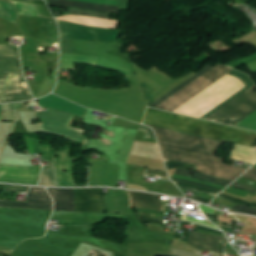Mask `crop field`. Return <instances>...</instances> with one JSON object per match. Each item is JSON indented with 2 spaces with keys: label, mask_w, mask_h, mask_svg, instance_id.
I'll return each mask as SVG.
<instances>
[{
  "label": "crop field",
  "mask_w": 256,
  "mask_h": 256,
  "mask_svg": "<svg viewBox=\"0 0 256 256\" xmlns=\"http://www.w3.org/2000/svg\"><path fill=\"white\" fill-rule=\"evenodd\" d=\"M186 133L228 141L254 148L256 133L214 123L192 119L147 108L143 121ZM145 125V124H144ZM151 126V125H146ZM151 126L164 158L196 165V171L234 181L247 169L222 164L223 158L213 156L223 142Z\"/></svg>",
  "instance_id": "8a807250"
},
{
  "label": "crop field",
  "mask_w": 256,
  "mask_h": 256,
  "mask_svg": "<svg viewBox=\"0 0 256 256\" xmlns=\"http://www.w3.org/2000/svg\"><path fill=\"white\" fill-rule=\"evenodd\" d=\"M61 52L99 56L98 68L134 75L129 55L120 54L122 44L61 39Z\"/></svg>",
  "instance_id": "ac0d7876"
},
{
  "label": "crop field",
  "mask_w": 256,
  "mask_h": 256,
  "mask_svg": "<svg viewBox=\"0 0 256 256\" xmlns=\"http://www.w3.org/2000/svg\"><path fill=\"white\" fill-rule=\"evenodd\" d=\"M0 81H24V84L23 82H0V102L19 100L22 84L23 89L20 101L31 100L33 98L22 76L20 61L0 60Z\"/></svg>",
  "instance_id": "34b2d1b8"
},
{
  "label": "crop field",
  "mask_w": 256,
  "mask_h": 256,
  "mask_svg": "<svg viewBox=\"0 0 256 256\" xmlns=\"http://www.w3.org/2000/svg\"><path fill=\"white\" fill-rule=\"evenodd\" d=\"M255 85L238 98L218 110L207 120L228 125H236L244 118L256 111V94L253 92Z\"/></svg>",
  "instance_id": "412701ff"
},
{
  "label": "crop field",
  "mask_w": 256,
  "mask_h": 256,
  "mask_svg": "<svg viewBox=\"0 0 256 256\" xmlns=\"http://www.w3.org/2000/svg\"><path fill=\"white\" fill-rule=\"evenodd\" d=\"M232 69L222 65H218L208 71L206 74L198 78L196 81L185 87L183 90L172 96L170 99L162 103L157 109L174 111L179 106L190 100L192 97L203 91L205 88L213 84L215 81L226 75Z\"/></svg>",
  "instance_id": "f4fd0767"
},
{
  "label": "crop field",
  "mask_w": 256,
  "mask_h": 256,
  "mask_svg": "<svg viewBox=\"0 0 256 256\" xmlns=\"http://www.w3.org/2000/svg\"><path fill=\"white\" fill-rule=\"evenodd\" d=\"M58 21V20H57ZM61 38L117 42L118 30L81 26L73 23L58 21Z\"/></svg>",
  "instance_id": "dd49c442"
},
{
  "label": "crop field",
  "mask_w": 256,
  "mask_h": 256,
  "mask_svg": "<svg viewBox=\"0 0 256 256\" xmlns=\"http://www.w3.org/2000/svg\"><path fill=\"white\" fill-rule=\"evenodd\" d=\"M37 117L43 121L44 128L47 132L81 142H84L86 138L82 135L84 132L70 128L73 118L72 115L48 110L47 112L38 113Z\"/></svg>",
  "instance_id": "e52e79f7"
},
{
  "label": "crop field",
  "mask_w": 256,
  "mask_h": 256,
  "mask_svg": "<svg viewBox=\"0 0 256 256\" xmlns=\"http://www.w3.org/2000/svg\"><path fill=\"white\" fill-rule=\"evenodd\" d=\"M75 211L104 213L102 188L75 189Z\"/></svg>",
  "instance_id": "d8731c3e"
},
{
  "label": "crop field",
  "mask_w": 256,
  "mask_h": 256,
  "mask_svg": "<svg viewBox=\"0 0 256 256\" xmlns=\"http://www.w3.org/2000/svg\"><path fill=\"white\" fill-rule=\"evenodd\" d=\"M0 182L24 183L37 185L40 169L28 166L0 164Z\"/></svg>",
  "instance_id": "5a996713"
},
{
  "label": "crop field",
  "mask_w": 256,
  "mask_h": 256,
  "mask_svg": "<svg viewBox=\"0 0 256 256\" xmlns=\"http://www.w3.org/2000/svg\"><path fill=\"white\" fill-rule=\"evenodd\" d=\"M57 165L59 169L60 186H75V179L73 176V162ZM57 165L52 166V168L43 169L39 185L59 186ZM64 169H66V173L62 171Z\"/></svg>",
  "instance_id": "3316defc"
},
{
  "label": "crop field",
  "mask_w": 256,
  "mask_h": 256,
  "mask_svg": "<svg viewBox=\"0 0 256 256\" xmlns=\"http://www.w3.org/2000/svg\"><path fill=\"white\" fill-rule=\"evenodd\" d=\"M27 195V204L0 201V207L52 210V199L45 188L31 187Z\"/></svg>",
  "instance_id": "28ad6ade"
},
{
  "label": "crop field",
  "mask_w": 256,
  "mask_h": 256,
  "mask_svg": "<svg viewBox=\"0 0 256 256\" xmlns=\"http://www.w3.org/2000/svg\"><path fill=\"white\" fill-rule=\"evenodd\" d=\"M38 104L45 108L56 109L59 111H63L69 114L77 115V116H85L86 109L80 107L74 103H71L65 99H62L56 95H49L46 98L39 99Z\"/></svg>",
  "instance_id": "d1516ede"
},
{
  "label": "crop field",
  "mask_w": 256,
  "mask_h": 256,
  "mask_svg": "<svg viewBox=\"0 0 256 256\" xmlns=\"http://www.w3.org/2000/svg\"><path fill=\"white\" fill-rule=\"evenodd\" d=\"M54 199L55 210L74 211V189H48Z\"/></svg>",
  "instance_id": "22f410ed"
},
{
  "label": "crop field",
  "mask_w": 256,
  "mask_h": 256,
  "mask_svg": "<svg viewBox=\"0 0 256 256\" xmlns=\"http://www.w3.org/2000/svg\"><path fill=\"white\" fill-rule=\"evenodd\" d=\"M133 200V207L165 211L161 206L159 195L130 192Z\"/></svg>",
  "instance_id": "cbeb9de0"
},
{
  "label": "crop field",
  "mask_w": 256,
  "mask_h": 256,
  "mask_svg": "<svg viewBox=\"0 0 256 256\" xmlns=\"http://www.w3.org/2000/svg\"><path fill=\"white\" fill-rule=\"evenodd\" d=\"M98 57L61 53L59 69L76 71L74 63L96 66Z\"/></svg>",
  "instance_id": "5142ce71"
},
{
  "label": "crop field",
  "mask_w": 256,
  "mask_h": 256,
  "mask_svg": "<svg viewBox=\"0 0 256 256\" xmlns=\"http://www.w3.org/2000/svg\"><path fill=\"white\" fill-rule=\"evenodd\" d=\"M50 4L71 7V8L89 9V10L105 12V13H118V7L72 1V0H59V1L50 0Z\"/></svg>",
  "instance_id": "d9b57169"
},
{
  "label": "crop field",
  "mask_w": 256,
  "mask_h": 256,
  "mask_svg": "<svg viewBox=\"0 0 256 256\" xmlns=\"http://www.w3.org/2000/svg\"><path fill=\"white\" fill-rule=\"evenodd\" d=\"M187 238L221 249V243L216 242V241L211 240V239L200 238V237H195V236H190V235H188ZM188 239L186 240V242L190 243L191 245H193L198 250L203 251L204 249H207V250H211V251H214L216 253H220L221 254V250L220 249H217V248H214V247H210V246H207V245H204V244H201V243H198V242H194V241H191V240H188Z\"/></svg>",
  "instance_id": "733c2abd"
},
{
  "label": "crop field",
  "mask_w": 256,
  "mask_h": 256,
  "mask_svg": "<svg viewBox=\"0 0 256 256\" xmlns=\"http://www.w3.org/2000/svg\"><path fill=\"white\" fill-rule=\"evenodd\" d=\"M212 67L206 65L203 69H201L197 74H195L194 76H192L190 79H188L186 82H184L183 84L175 87L173 90H171L168 94H166L164 97L160 98L159 100L155 101L154 103H152L149 107H157L158 105H160L162 102H164L165 100H167L168 98H170L172 95H174L175 93H177L178 91H180L181 89H183L185 86H187L188 84H190L191 82H193L194 80H196L198 77H200L201 75H203L204 73H206L208 70H210Z\"/></svg>",
  "instance_id": "4a817a6b"
},
{
  "label": "crop field",
  "mask_w": 256,
  "mask_h": 256,
  "mask_svg": "<svg viewBox=\"0 0 256 256\" xmlns=\"http://www.w3.org/2000/svg\"><path fill=\"white\" fill-rule=\"evenodd\" d=\"M31 141H32L34 152L35 153H37L38 151L42 152L44 159L53 163L54 148L52 146L41 145L40 141H37L34 139H31ZM31 141L30 139H27L30 153L33 154L34 152L32 150Z\"/></svg>",
  "instance_id": "bc2a9ffb"
},
{
  "label": "crop field",
  "mask_w": 256,
  "mask_h": 256,
  "mask_svg": "<svg viewBox=\"0 0 256 256\" xmlns=\"http://www.w3.org/2000/svg\"><path fill=\"white\" fill-rule=\"evenodd\" d=\"M229 75H232L234 77L239 78L247 87L242 89L241 91H239L238 93H236L235 95H233L231 98H229L228 100H226L225 102H223L221 105H219L218 107H216L215 109H213L212 111H210L209 113H207L206 115H204L203 117H201L202 119L207 118L209 115H211L212 113H214L215 111H217L219 108H221L222 106H224L225 104H227L229 101H231L232 99H234L235 97H237L239 94H241L242 92H244L245 90H247L249 87H251L253 84V82L250 80L249 77L233 70L232 72L229 73Z\"/></svg>",
  "instance_id": "214f88e0"
},
{
  "label": "crop field",
  "mask_w": 256,
  "mask_h": 256,
  "mask_svg": "<svg viewBox=\"0 0 256 256\" xmlns=\"http://www.w3.org/2000/svg\"><path fill=\"white\" fill-rule=\"evenodd\" d=\"M11 2L15 5L16 9L18 10V14L42 17L37 6L34 4L13 2V1Z\"/></svg>",
  "instance_id": "92a150f3"
},
{
  "label": "crop field",
  "mask_w": 256,
  "mask_h": 256,
  "mask_svg": "<svg viewBox=\"0 0 256 256\" xmlns=\"http://www.w3.org/2000/svg\"><path fill=\"white\" fill-rule=\"evenodd\" d=\"M0 18L16 23V9L14 6L0 1Z\"/></svg>",
  "instance_id": "dafd665d"
},
{
  "label": "crop field",
  "mask_w": 256,
  "mask_h": 256,
  "mask_svg": "<svg viewBox=\"0 0 256 256\" xmlns=\"http://www.w3.org/2000/svg\"><path fill=\"white\" fill-rule=\"evenodd\" d=\"M190 171L188 170H180V169H176V173L177 175H182V176H189V177H193L190 176ZM195 178H199V179H203V180H207V181H211L214 183H218V184H222V185H226L228 186L229 184H231V181H227V180H223V179H219V178H215V177H211V176H207V175H203V174H199L194 176Z\"/></svg>",
  "instance_id": "00972430"
},
{
  "label": "crop field",
  "mask_w": 256,
  "mask_h": 256,
  "mask_svg": "<svg viewBox=\"0 0 256 256\" xmlns=\"http://www.w3.org/2000/svg\"><path fill=\"white\" fill-rule=\"evenodd\" d=\"M0 59H20L18 48L15 46H0Z\"/></svg>",
  "instance_id": "a9b5d70f"
},
{
  "label": "crop field",
  "mask_w": 256,
  "mask_h": 256,
  "mask_svg": "<svg viewBox=\"0 0 256 256\" xmlns=\"http://www.w3.org/2000/svg\"><path fill=\"white\" fill-rule=\"evenodd\" d=\"M179 188L182 189H187V190H192V191H197V192H202V193H206V194H210L213 196H217L219 194V192L208 189V188H204V187H199V186H194V185H189V184H185V183H178V182H174Z\"/></svg>",
  "instance_id": "4177f3b9"
},
{
  "label": "crop field",
  "mask_w": 256,
  "mask_h": 256,
  "mask_svg": "<svg viewBox=\"0 0 256 256\" xmlns=\"http://www.w3.org/2000/svg\"><path fill=\"white\" fill-rule=\"evenodd\" d=\"M232 209V212L256 215V208L247 207L241 204L233 206Z\"/></svg>",
  "instance_id": "730fd06b"
},
{
  "label": "crop field",
  "mask_w": 256,
  "mask_h": 256,
  "mask_svg": "<svg viewBox=\"0 0 256 256\" xmlns=\"http://www.w3.org/2000/svg\"><path fill=\"white\" fill-rule=\"evenodd\" d=\"M68 12H69V14H73V15H91V16H96V17L110 18V15H108V14H102V13H96V12H90V11H80V10L68 9Z\"/></svg>",
  "instance_id": "eef30255"
},
{
  "label": "crop field",
  "mask_w": 256,
  "mask_h": 256,
  "mask_svg": "<svg viewBox=\"0 0 256 256\" xmlns=\"http://www.w3.org/2000/svg\"><path fill=\"white\" fill-rule=\"evenodd\" d=\"M56 155L59 156L58 163L76 159L75 157L70 158V148H68V147H66V150L56 151Z\"/></svg>",
  "instance_id": "ae1a2a85"
},
{
  "label": "crop field",
  "mask_w": 256,
  "mask_h": 256,
  "mask_svg": "<svg viewBox=\"0 0 256 256\" xmlns=\"http://www.w3.org/2000/svg\"><path fill=\"white\" fill-rule=\"evenodd\" d=\"M218 197L223 198V199L228 200V201H231V202L236 203V204L242 203V204H246V205H250V206L256 207L255 204H252V203H249V202L237 199L235 197H232V196H229V195H226V194H223V193H221Z\"/></svg>",
  "instance_id": "d3111659"
},
{
  "label": "crop field",
  "mask_w": 256,
  "mask_h": 256,
  "mask_svg": "<svg viewBox=\"0 0 256 256\" xmlns=\"http://www.w3.org/2000/svg\"><path fill=\"white\" fill-rule=\"evenodd\" d=\"M169 162L170 163H165L168 170H171L173 168H181V169H190V170H192V165L179 163V162H172V161H169Z\"/></svg>",
  "instance_id": "750c4746"
},
{
  "label": "crop field",
  "mask_w": 256,
  "mask_h": 256,
  "mask_svg": "<svg viewBox=\"0 0 256 256\" xmlns=\"http://www.w3.org/2000/svg\"><path fill=\"white\" fill-rule=\"evenodd\" d=\"M144 174L157 175V176H160V177L168 178L166 172L162 171V170L147 168Z\"/></svg>",
  "instance_id": "bd1437ed"
},
{
  "label": "crop field",
  "mask_w": 256,
  "mask_h": 256,
  "mask_svg": "<svg viewBox=\"0 0 256 256\" xmlns=\"http://www.w3.org/2000/svg\"><path fill=\"white\" fill-rule=\"evenodd\" d=\"M28 188H29V187L6 185L4 191H10V192H15V191L27 192Z\"/></svg>",
  "instance_id": "1d83c4d3"
},
{
  "label": "crop field",
  "mask_w": 256,
  "mask_h": 256,
  "mask_svg": "<svg viewBox=\"0 0 256 256\" xmlns=\"http://www.w3.org/2000/svg\"><path fill=\"white\" fill-rule=\"evenodd\" d=\"M230 186L231 187H235V188H240V189L248 190V191L256 194V188H254V187H250V186H247V185H244V184H240V183H236V182H234Z\"/></svg>",
  "instance_id": "120bbe31"
},
{
  "label": "crop field",
  "mask_w": 256,
  "mask_h": 256,
  "mask_svg": "<svg viewBox=\"0 0 256 256\" xmlns=\"http://www.w3.org/2000/svg\"><path fill=\"white\" fill-rule=\"evenodd\" d=\"M181 220L188 221V222H197V223H200V224H203V225H207V226H211V227L217 228V227H215L213 225L207 224L206 221H202V220H198V219H193V218H189V217H185V216H183ZM217 229H219V228H217Z\"/></svg>",
  "instance_id": "d32e631a"
},
{
  "label": "crop field",
  "mask_w": 256,
  "mask_h": 256,
  "mask_svg": "<svg viewBox=\"0 0 256 256\" xmlns=\"http://www.w3.org/2000/svg\"><path fill=\"white\" fill-rule=\"evenodd\" d=\"M139 130L146 132L144 138L155 139V138H154V135H153V132H152V130H151L150 128L141 125Z\"/></svg>",
  "instance_id": "5866460e"
},
{
  "label": "crop field",
  "mask_w": 256,
  "mask_h": 256,
  "mask_svg": "<svg viewBox=\"0 0 256 256\" xmlns=\"http://www.w3.org/2000/svg\"><path fill=\"white\" fill-rule=\"evenodd\" d=\"M243 177L251 178L256 180V169L251 168L248 172H246Z\"/></svg>",
  "instance_id": "028f5c9d"
},
{
  "label": "crop field",
  "mask_w": 256,
  "mask_h": 256,
  "mask_svg": "<svg viewBox=\"0 0 256 256\" xmlns=\"http://www.w3.org/2000/svg\"><path fill=\"white\" fill-rule=\"evenodd\" d=\"M129 6V0H120V11H127Z\"/></svg>",
  "instance_id": "e1f06a70"
},
{
  "label": "crop field",
  "mask_w": 256,
  "mask_h": 256,
  "mask_svg": "<svg viewBox=\"0 0 256 256\" xmlns=\"http://www.w3.org/2000/svg\"><path fill=\"white\" fill-rule=\"evenodd\" d=\"M188 234L196 235V236H202V237H207V238L218 239V240H222V241H226L227 242L226 238L213 237V236H208V235H203V234H198V233H193V232H189Z\"/></svg>",
  "instance_id": "0bd39190"
},
{
  "label": "crop field",
  "mask_w": 256,
  "mask_h": 256,
  "mask_svg": "<svg viewBox=\"0 0 256 256\" xmlns=\"http://www.w3.org/2000/svg\"><path fill=\"white\" fill-rule=\"evenodd\" d=\"M138 219H139V221H144V222H148V223L163 224L161 221H157V220L146 219V218H138Z\"/></svg>",
  "instance_id": "b80d0937"
},
{
  "label": "crop field",
  "mask_w": 256,
  "mask_h": 256,
  "mask_svg": "<svg viewBox=\"0 0 256 256\" xmlns=\"http://www.w3.org/2000/svg\"><path fill=\"white\" fill-rule=\"evenodd\" d=\"M171 179H172V181L187 182V183H191V184H195V185H199V186H204V187L212 188V187H210V186H208V185H203V184H199V183L188 182V181H183V180H178V179H173V178H171ZM212 189H215V188H212ZM215 190H217V191H220V192H221V190H219V189H215Z\"/></svg>",
  "instance_id": "c035e120"
},
{
  "label": "crop field",
  "mask_w": 256,
  "mask_h": 256,
  "mask_svg": "<svg viewBox=\"0 0 256 256\" xmlns=\"http://www.w3.org/2000/svg\"><path fill=\"white\" fill-rule=\"evenodd\" d=\"M90 139L86 138L85 142L83 143L80 158H82V152H85L87 150L88 144H89Z\"/></svg>",
  "instance_id": "c21b1889"
},
{
  "label": "crop field",
  "mask_w": 256,
  "mask_h": 256,
  "mask_svg": "<svg viewBox=\"0 0 256 256\" xmlns=\"http://www.w3.org/2000/svg\"><path fill=\"white\" fill-rule=\"evenodd\" d=\"M88 256H108V255L103 254V253H101L99 251H96V250L92 249V251L89 253Z\"/></svg>",
  "instance_id": "03da06ac"
},
{
  "label": "crop field",
  "mask_w": 256,
  "mask_h": 256,
  "mask_svg": "<svg viewBox=\"0 0 256 256\" xmlns=\"http://www.w3.org/2000/svg\"><path fill=\"white\" fill-rule=\"evenodd\" d=\"M200 209L202 210V212H206V213H211V214H214L215 210L213 209H210L208 207H205L203 205H200Z\"/></svg>",
  "instance_id": "b54c1fbb"
},
{
  "label": "crop field",
  "mask_w": 256,
  "mask_h": 256,
  "mask_svg": "<svg viewBox=\"0 0 256 256\" xmlns=\"http://www.w3.org/2000/svg\"><path fill=\"white\" fill-rule=\"evenodd\" d=\"M196 228L202 229V230H206V231L217 232V233H222L223 234V232H220V231H217V230H213V229H210V228H206V227L197 226Z\"/></svg>",
  "instance_id": "5d738f31"
},
{
  "label": "crop field",
  "mask_w": 256,
  "mask_h": 256,
  "mask_svg": "<svg viewBox=\"0 0 256 256\" xmlns=\"http://www.w3.org/2000/svg\"><path fill=\"white\" fill-rule=\"evenodd\" d=\"M22 103L11 104L12 109H21Z\"/></svg>",
  "instance_id": "d23c7cc5"
},
{
  "label": "crop field",
  "mask_w": 256,
  "mask_h": 256,
  "mask_svg": "<svg viewBox=\"0 0 256 256\" xmlns=\"http://www.w3.org/2000/svg\"><path fill=\"white\" fill-rule=\"evenodd\" d=\"M192 199L198 200V201H201V202H204V203H206V204H209L210 201H211V200H210V201H206L207 199H206V200H203L204 198H203V199H200V198H196V197H194V198H192Z\"/></svg>",
  "instance_id": "425ffa30"
},
{
  "label": "crop field",
  "mask_w": 256,
  "mask_h": 256,
  "mask_svg": "<svg viewBox=\"0 0 256 256\" xmlns=\"http://www.w3.org/2000/svg\"><path fill=\"white\" fill-rule=\"evenodd\" d=\"M206 216H207V217H210V218L218 219V217H217V216H215V215L206 214ZM218 220H219V219H218Z\"/></svg>",
  "instance_id": "25e5ab78"
},
{
  "label": "crop field",
  "mask_w": 256,
  "mask_h": 256,
  "mask_svg": "<svg viewBox=\"0 0 256 256\" xmlns=\"http://www.w3.org/2000/svg\"><path fill=\"white\" fill-rule=\"evenodd\" d=\"M76 186H87V184H76Z\"/></svg>",
  "instance_id": "73cf0c24"
},
{
  "label": "crop field",
  "mask_w": 256,
  "mask_h": 256,
  "mask_svg": "<svg viewBox=\"0 0 256 256\" xmlns=\"http://www.w3.org/2000/svg\"><path fill=\"white\" fill-rule=\"evenodd\" d=\"M58 158H55V163H57Z\"/></svg>",
  "instance_id": "89e229c0"
},
{
  "label": "crop field",
  "mask_w": 256,
  "mask_h": 256,
  "mask_svg": "<svg viewBox=\"0 0 256 256\" xmlns=\"http://www.w3.org/2000/svg\"><path fill=\"white\" fill-rule=\"evenodd\" d=\"M242 1H244V2H246V3L248 2V1H246V0H242Z\"/></svg>",
  "instance_id": "1f2cbd36"
},
{
  "label": "crop field",
  "mask_w": 256,
  "mask_h": 256,
  "mask_svg": "<svg viewBox=\"0 0 256 256\" xmlns=\"http://www.w3.org/2000/svg\"><path fill=\"white\" fill-rule=\"evenodd\" d=\"M0 121H1V113H0Z\"/></svg>",
  "instance_id": "dbb93151"
},
{
  "label": "crop field",
  "mask_w": 256,
  "mask_h": 256,
  "mask_svg": "<svg viewBox=\"0 0 256 256\" xmlns=\"http://www.w3.org/2000/svg\"><path fill=\"white\" fill-rule=\"evenodd\" d=\"M186 198L190 199V197H187V196H186Z\"/></svg>",
  "instance_id": "0fb4a251"
}]
</instances>
